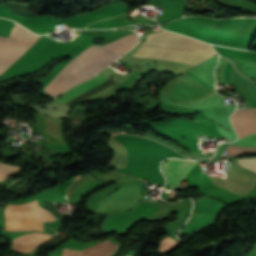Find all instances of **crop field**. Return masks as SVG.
Here are the masks:
<instances>
[{
	"label": "crop field",
	"instance_id": "obj_4",
	"mask_svg": "<svg viewBox=\"0 0 256 256\" xmlns=\"http://www.w3.org/2000/svg\"><path fill=\"white\" fill-rule=\"evenodd\" d=\"M133 56L169 59L194 65H198L199 63L210 57L187 51L159 47H139V49L134 53Z\"/></svg>",
	"mask_w": 256,
	"mask_h": 256
},
{
	"label": "crop field",
	"instance_id": "obj_13",
	"mask_svg": "<svg viewBox=\"0 0 256 256\" xmlns=\"http://www.w3.org/2000/svg\"><path fill=\"white\" fill-rule=\"evenodd\" d=\"M239 164L249 167L256 171V158H248V159L239 160Z\"/></svg>",
	"mask_w": 256,
	"mask_h": 256
},
{
	"label": "crop field",
	"instance_id": "obj_14",
	"mask_svg": "<svg viewBox=\"0 0 256 256\" xmlns=\"http://www.w3.org/2000/svg\"><path fill=\"white\" fill-rule=\"evenodd\" d=\"M98 173V172H97ZM98 174H101V173H98ZM102 175H106V176H112V175H116V174H112V175H107V173L106 174H102ZM116 176H119V175H116ZM116 176H113V177H116ZM121 177H124V176H121ZM125 178H127V179H134V178H129V177H126L125 176ZM135 180H137V179H135ZM131 181H134V180H131ZM139 181V180H138Z\"/></svg>",
	"mask_w": 256,
	"mask_h": 256
},
{
	"label": "crop field",
	"instance_id": "obj_7",
	"mask_svg": "<svg viewBox=\"0 0 256 256\" xmlns=\"http://www.w3.org/2000/svg\"><path fill=\"white\" fill-rule=\"evenodd\" d=\"M51 236L43 234H26L24 236L14 239V246L16 252H30L38 244L48 240Z\"/></svg>",
	"mask_w": 256,
	"mask_h": 256
},
{
	"label": "crop field",
	"instance_id": "obj_16",
	"mask_svg": "<svg viewBox=\"0 0 256 256\" xmlns=\"http://www.w3.org/2000/svg\"><path fill=\"white\" fill-rule=\"evenodd\" d=\"M168 194V193H167ZM171 195V194H170Z\"/></svg>",
	"mask_w": 256,
	"mask_h": 256
},
{
	"label": "crop field",
	"instance_id": "obj_6",
	"mask_svg": "<svg viewBox=\"0 0 256 256\" xmlns=\"http://www.w3.org/2000/svg\"><path fill=\"white\" fill-rule=\"evenodd\" d=\"M231 120L239 138L256 132L255 108L237 110Z\"/></svg>",
	"mask_w": 256,
	"mask_h": 256
},
{
	"label": "crop field",
	"instance_id": "obj_5",
	"mask_svg": "<svg viewBox=\"0 0 256 256\" xmlns=\"http://www.w3.org/2000/svg\"><path fill=\"white\" fill-rule=\"evenodd\" d=\"M193 166V161H182L174 159H168L165 161L162 168L166 174L170 188H176Z\"/></svg>",
	"mask_w": 256,
	"mask_h": 256
},
{
	"label": "crop field",
	"instance_id": "obj_12",
	"mask_svg": "<svg viewBox=\"0 0 256 256\" xmlns=\"http://www.w3.org/2000/svg\"><path fill=\"white\" fill-rule=\"evenodd\" d=\"M21 167H15L0 163V180H3L10 173L20 169Z\"/></svg>",
	"mask_w": 256,
	"mask_h": 256
},
{
	"label": "crop field",
	"instance_id": "obj_9",
	"mask_svg": "<svg viewBox=\"0 0 256 256\" xmlns=\"http://www.w3.org/2000/svg\"><path fill=\"white\" fill-rule=\"evenodd\" d=\"M105 80H107V79L98 75L95 78H93L89 81H86V82L78 85L77 87L63 93L65 96L56 100V101L63 102V101H65V100H67V99H69V98H71V97H73V96H75V95H77V94H79V93H81V92H83V91H85V90H87V89L105 81Z\"/></svg>",
	"mask_w": 256,
	"mask_h": 256
},
{
	"label": "crop field",
	"instance_id": "obj_8",
	"mask_svg": "<svg viewBox=\"0 0 256 256\" xmlns=\"http://www.w3.org/2000/svg\"><path fill=\"white\" fill-rule=\"evenodd\" d=\"M116 246L108 241L79 251L63 250V256H108Z\"/></svg>",
	"mask_w": 256,
	"mask_h": 256
},
{
	"label": "crop field",
	"instance_id": "obj_17",
	"mask_svg": "<svg viewBox=\"0 0 256 256\" xmlns=\"http://www.w3.org/2000/svg\"><path fill=\"white\" fill-rule=\"evenodd\" d=\"M117 173H119V172H117Z\"/></svg>",
	"mask_w": 256,
	"mask_h": 256
},
{
	"label": "crop field",
	"instance_id": "obj_1",
	"mask_svg": "<svg viewBox=\"0 0 256 256\" xmlns=\"http://www.w3.org/2000/svg\"><path fill=\"white\" fill-rule=\"evenodd\" d=\"M174 102H198L216 93L214 88L190 71L167 83L160 91Z\"/></svg>",
	"mask_w": 256,
	"mask_h": 256
},
{
	"label": "crop field",
	"instance_id": "obj_15",
	"mask_svg": "<svg viewBox=\"0 0 256 256\" xmlns=\"http://www.w3.org/2000/svg\"><path fill=\"white\" fill-rule=\"evenodd\" d=\"M163 197V196H162ZM164 198V197H163ZM166 198V197H165Z\"/></svg>",
	"mask_w": 256,
	"mask_h": 256
},
{
	"label": "crop field",
	"instance_id": "obj_11",
	"mask_svg": "<svg viewBox=\"0 0 256 256\" xmlns=\"http://www.w3.org/2000/svg\"><path fill=\"white\" fill-rule=\"evenodd\" d=\"M256 154V148L228 146L226 155Z\"/></svg>",
	"mask_w": 256,
	"mask_h": 256
},
{
	"label": "crop field",
	"instance_id": "obj_3",
	"mask_svg": "<svg viewBox=\"0 0 256 256\" xmlns=\"http://www.w3.org/2000/svg\"><path fill=\"white\" fill-rule=\"evenodd\" d=\"M38 35L32 34L24 28L15 25L10 37L7 40L5 37H0V74L6 70V68L15 61L24 51L34 44ZM14 63V62H13Z\"/></svg>",
	"mask_w": 256,
	"mask_h": 256
},
{
	"label": "crop field",
	"instance_id": "obj_2",
	"mask_svg": "<svg viewBox=\"0 0 256 256\" xmlns=\"http://www.w3.org/2000/svg\"><path fill=\"white\" fill-rule=\"evenodd\" d=\"M24 230H42V221L55 220L53 216L38 207V200L21 204ZM20 204L5 209L6 230H23Z\"/></svg>",
	"mask_w": 256,
	"mask_h": 256
},
{
	"label": "crop field",
	"instance_id": "obj_10",
	"mask_svg": "<svg viewBox=\"0 0 256 256\" xmlns=\"http://www.w3.org/2000/svg\"><path fill=\"white\" fill-rule=\"evenodd\" d=\"M233 59V58H232ZM236 61L238 67L242 72L249 75L252 78H256V61L233 59Z\"/></svg>",
	"mask_w": 256,
	"mask_h": 256
}]
</instances>
